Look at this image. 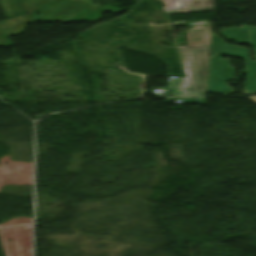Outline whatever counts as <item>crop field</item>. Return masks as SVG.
Returning a JSON list of instances; mask_svg holds the SVG:
<instances>
[{
  "label": "crop field",
  "instance_id": "obj_1",
  "mask_svg": "<svg viewBox=\"0 0 256 256\" xmlns=\"http://www.w3.org/2000/svg\"><path fill=\"white\" fill-rule=\"evenodd\" d=\"M228 41L235 40L236 44L251 43L256 59V27L241 26L236 29H224L220 32ZM218 34V33H217ZM209 73L208 92L232 93L226 82L233 78L234 68L230 67L228 60H221V54L245 58L246 64V95L256 92V62L250 59L248 49L224 43L216 34L212 36Z\"/></svg>",
  "mask_w": 256,
  "mask_h": 256
},
{
  "label": "crop field",
  "instance_id": "obj_2",
  "mask_svg": "<svg viewBox=\"0 0 256 256\" xmlns=\"http://www.w3.org/2000/svg\"><path fill=\"white\" fill-rule=\"evenodd\" d=\"M179 48L187 78L168 83V89L172 96H204L207 85L209 46Z\"/></svg>",
  "mask_w": 256,
  "mask_h": 256
},
{
  "label": "crop field",
  "instance_id": "obj_3",
  "mask_svg": "<svg viewBox=\"0 0 256 256\" xmlns=\"http://www.w3.org/2000/svg\"><path fill=\"white\" fill-rule=\"evenodd\" d=\"M168 13L212 10L213 0H164Z\"/></svg>",
  "mask_w": 256,
  "mask_h": 256
},
{
  "label": "crop field",
  "instance_id": "obj_4",
  "mask_svg": "<svg viewBox=\"0 0 256 256\" xmlns=\"http://www.w3.org/2000/svg\"><path fill=\"white\" fill-rule=\"evenodd\" d=\"M211 28L188 30L187 45H209Z\"/></svg>",
  "mask_w": 256,
  "mask_h": 256
},
{
  "label": "crop field",
  "instance_id": "obj_5",
  "mask_svg": "<svg viewBox=\"0 0 256 256\" xmlns=\"http://www.w3.org/2000/svg\"><path fill=\"white\" fill-rule=\"evenodd\" d=\"M87 2L91 3L90 0H86ZM104 11H109L112 12L113 14L115 13H119V12H123L111 5L105 6L100 8L99 10H97L95 13L101 15ZM102 18L101 16H97V17H90V18H83V19H77V20H70V21H63V22H71V21H96L98 19Z\"/></svg>",
  "mask_w": 256,
  "mask_h": 256
},
{
  "label": "crop field",
  "instance_id": "obj_6",
  "mask_svg": "<svg viewBox=\"0 0 256 256\" xmlns=\"http://www.w3.org/2000/svg\"><path fill=\"white\" fill-rule=\"evenodd\" d=\"M206 98H182V103L205 104Z\"/></svg>",
  "mask_w": 256,
  "mask_h": 256
},
{
  "label": "crop field",
  "instance_id": "obj_7",
  "mask_svg": "<svg viewBox=\"0 0 256 256\" xmlns=\"http://www.w3.org/2000/svg\"><path fill=\"white\" fill-rule=\"evenodd\" d=\"M34 21H40V19H39V17H38L36 12H34V19H33L32 22H34Z\"/></svg>",
  "mask_w": 256,
  "mask_h": 256
}]
</instances>
